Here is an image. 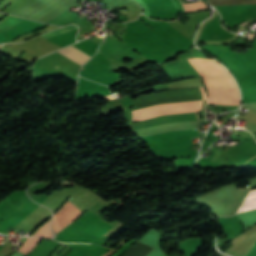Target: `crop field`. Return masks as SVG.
<instances>
[{
    "mask_svg": "<svg viewBox=\"0 0 256 256\" xmlns=\"http://www.w3.org/2000/svg\"><path fill=\"white\" fill-rule=\"evenodd\" d=\"M50 220L51 219H49V221L46 224H44L42 227L37 229L31 236H42L47 238L53 237V234L50 232V229H49Z\"/></svg>",
    "mask_w": 256,
    "mask_h": 256,
    "instance_id": "obj_7",
    "label": "crop field"
},
{
    "mask_svg": "<svg viewBox=\"0 0 256 256\" xmlns=\"http://www.w3.org/2000/svg\"><path fill=\"white\" fill-rule=\"evenodd\" d=\"M199 102L200 100L179 102V103L158 104V105L150 106V107L139 109V110H134L132 111L133 122L157 117L160 115L198 111ZM202 102L203 100H201L199 111H201Z\"/></svg>",
    "mask_w": 256,
    "mask_h": 256,
    "instance_id": "obj_1",
    "label": "crop field"
},
{
    "mask_svg": "<svg viewBox=\"0 0 256 256\" xmlns=\"http://www.w3.org/2000/svg\"><path fill=\"white\" fill-rule=\"evenodd\" d=\"M72 61L76 62L79 65H83L85 62L89 60L91 56L81 52L80 50L70 46L64 49L57 51Z\"/></svg>",
    "mask_w": 256,
    "mask_h": 256,
    "instance_id": "obj_5",
    "label": "crop field"
},
{
    "mask_svg": "<svg viewBox=\"0 0 256 256\" xmlns=\"http://www.w3.org/2000/svg\"><path fill=\"white\" fill-rule=\"evenodd\" d=\"M218 87H237L227 70L214 59H195Z\"/></svg>",
    "mask_w": 256,
    "mask_h": 256,
    "instance_id": "obj_2",
    "label": "crop field"
},
{
    "mask_svg": "<svg viewBox=\"0 0 256 256\" xmlns=\"http://www.w3.org/2000/svg\"><path fill=\"white\" fill-rule=\"evenodd\" d=\"M82 213L83 212H81L79 209H77L75 206H73L71 203L67 201L66 204L58 212L55 213V215L57 217L61 229H63ZM55 215L52 221V230L57 234L58 232L61 231V229L59 227Z\"/></svg>",
    "mask_w": 256,
    "mask_h": 256,
    "instance_id": "obj_4",
    "label": "crop field"
},
{
    "mask_svg": "<svg viewBox=\"0 0 256 256\" xmlns=\"http://www.w3.org/2000/svg\"><path fill=\"white\" fill-rule=\"evenodd\" d=\"M22 21L24 20L12 18V17L8 18L7 20H5L0 24V33L12 28L13 26H15L16 24Z\"/></svg>",
    "mask_w": 256,
    "mask_h": 256,
    "instance_id": "obj_8",
    "label": "crop field"
},
{
    "mask_svg": "<svg viewBox=\"0 0 256 256\" xmlns=\"http://www.w3.org/2000/svg\"><path fill=\"white\" fill-rule=\"evenodd\" d=\"M252 198H256V189L250 190V192L245 200L252 199Z\"/></svg>",
    "mask_w": 256,
    "mask_h": 256,
    "instance_id": "obj_11",
    "label": "crop field"
},
{
    "mask_svg": "<svg viewBox=\"0 0 256 256\" xmlns=\"http://www.w3.org/2000/svg\"><path fill=\"white\" fill-rule=\"evenodd\" d=\"M253 209H256V199L243 202L242 206L240 207L237 213H241V212H245Z\"/></svg>",
    "mask_w": 256,
    "mask_h": 256,
    "instance_id": "obj_9",
    "label": "crop field"
},
{
    "mask_svg": "<svg viewBox=\"0 0 256 256\" xmlns=\"http://www.w3.org/2000/svg\"><path fill=\"white\" fill-rule=\"evenodd\" d=\"M72 29H75V27H70V28H66V29H63V30H59V31H56V32L49 33V34H45V35H43V37L46 38V37L53 36V35H56V34H59V33L65 32V31H69V30H72Z\"/></svg>",
    "mask_w": 256,
    "mask_h": 256,
    "instance_id": "obj_10",
    "label": "crop field"
},
{
    "mask_svg": "<svg viewBox=\"0 0 256 256\" xmlns=\"http://www.w3.org/2000/svg\"><path fill=\"white\" fill-rule=\"evenodd\" d=\"M42 239L39 238H28L24 244L21 246V248L19 249V251L27 254L28 252H30L35 246L36 244L41 241Z\"/></svg>",
    "mask_w": 256,
    "mask_h": 256,
    "instance_id": "obj_6",
    "label": "crop field"
},
{
    "mask_svg": "<svg viewBox=\"0 0 256 256\" xmlns=\"http://www.w3.org/2000/svg\"><path fill=\"white\" fill-rule=\"evenodd\" d=\"M198 89H199V92H200L201 98H202V99H205V94H204V90H203V88H198Z\"/></svg>",
    "mask_w": 256,
    "mask_h": 256,
    "instance_id": "obj_12",
    "label": "crop field"
},
{
    "mask_svg": "<svg viewBox=\"0 0 256 256\" xmlns=\"http://www.w3.org/2000/svg\"><path fill=\"white\" fill-rule=\"evenodd\" d=\"M209 97L207 103L239 105V91L237 88H207Z\"/></svg>",
    "mask_w": 256,
    "mask_h": 256,
    "instance_id": "obj_3",
    "label": "crop field"
}]
</instances>
